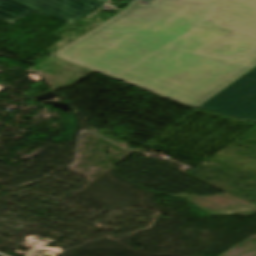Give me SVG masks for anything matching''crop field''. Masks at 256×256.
Here are the masks:
<instances>
[{
  "instance_id": "crop-field-3",
  "label": "crop field",
  "mask_w": 256,
  "mask_h": 256,
  "mask_svg": "<svg viewBox=\"0 0 256 256\" xmlns=\"http://www.w3.org/2000/svg\"><path fill=\"white\" fill-rule=\"evenodd\" d=\"M199 108L256 122V67Z\"/></svg>"
},
{
  "instance_id": "crop-field-2",
  "label": "crop field",
  "mask_w": 256,
  "mask_h": 256,
  "mask_svg": "<svg viewBox=\"0 0 256 256\" xmlns=\"http://www.w3.org/2000/svg\"><path fill=\"white\" fill-rule=\"evenodd\" d=\"M107 0H0V20L15 23L38 11L72 25Z\"/></svg>"
},
{
  "instance_id": "crop-field-1",
  "label": "crop field",
  "mask_w": 256,
  "mask_h": 256,
  "mask_svg": "<svg viewBox=\"0 0 256 256\" xmlns=\"http://www.w3.org/2000/svg\"><path fill=\"white\" fill-rule=\"evenodd\" d=\"M53 56L195 109L256 66V0L134 2Z\"/></svg>"
}]
</instances>
